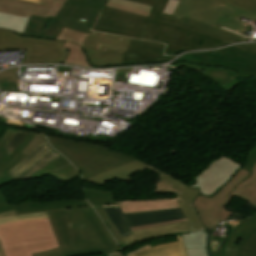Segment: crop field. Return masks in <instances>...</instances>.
Returning a JSON list of instances; mask_svg holds the SVG:
<instances>
[{
	"instance_id": "214f88e0",
	"label": "crop field",
	"mask_w": 256,
	"mask_h": 256,
	"mask_svg": "<svg viewBox=\"0 0 256 256\" xmlns=\"http://www.w3.org/2000/svg\"><path fill=\"white\" fill-rule=\"evenodd\" d=\"M86 37L87 34L63 28L56 40L66 41L64 48L70 50V53L65 61L66 64H75L92 68L88 65L84 51L81 49V45Z\"/></svg>"
},
{
	"instance_id": "cbeb9de0",
	"label": "crop field",
	"mask_w": 256,
	"mask_h": 256,
	"mask_svg": "<svg viewBox=\"0 0 256 256\" xmlns=\"http://www.w3.org/2000/svg\"><path fill=\"white\" fill-rule=\"evenodd\" d=\"M109 217L124 236L132 235L129 227L183 219L180 209L123 215L119 207H104Z\"/></svg>"
},
{
	"instance_id": "dafd665d",
	"label": "crop field",
	"mask_w": 256,
	"mask_h": 256,
	"mask_svg": "<svg viewBox=\"0 0 256 256\" xmlns=\"http://www.w3.org/2000/svg\"><path fill=\"white\" fill-rule=\"evenodd\" d=\"M178 242L167 243L138 251L130 256H187L181 236Z\"/></svg>"
},
{
	"instance_id": "5142ce71",
	"label": "crop field",
	"mask_w": 256,
	"mask_h": 256,
	"mask_svg": "<svg viewBox=\"0 0 256 256\" xmlns=\"http://www.w3.org/2000/svg\"><path fill=\"white\" fill-rule=\"evenodd\" d=\"M227 223L232 232L227 241L226 256H256V215Z\"/></svg>"
},
{
	"instance_id": "c035e120",
	"label": "crop field",
	"mask_w": 256,
	"mask_h": 256,
	"mask_svg": "<svg viewBox=\"0 0 256 256\" xmlns=\"http://www.w3.org/2000/svg\"><path fill=\"white\" fill-rule=\"evenodd\" d=\"M186 221L185 219L183 220H178V221H172V222H166V223H160V224H154V225H147V226H140V227H133L131 228L132 231L142 229V228H147V227H153V226H159V225H165V224H171V223H177V222H183Z\"/></svg>"
},
{
	"instance_id": "4177f3b9",
	"label": "crop field",
	"mask_w": 256,
	"mask_h": 256,
	"mask_svg": "<svg viewBox=\"0 0 256 256\" xmlns=\"http://www.w3.org/2000/svg\"><path fill=\"white\" fill-rule=\"evenodd\" d=\"M202 74H204L206 77L210 78L220 86H224L234 81L235 77L238 76V74L230 70L214 68H208Z\"/></svg>"
},
{
	"instance_id": "d9b57169",
	"label": "crop field",
	"mask_w": 256,
	"mask_h": 256,
	"mask_svg": "<svg viewBox=\"0 0 256 256\" xmlns=\"http://www.w3.org/2000/svg\"><path fill=\"white\" fill-rule=\"evenodd\" d=\"M60 156L61 155L58 152L50 147L45 139L35 150L8 173L13 180L28 179L46 168Z\"/></svg>"
},
{
	"instance_id": "425ffa30",
	"label": "crop field",
	"mask_w": 256,
	"mask_h": 256,
	"mask_svg": "<svg viewBox=\"0 0 256 256\" xmlns=\"http://www.w3.org/2000/svg\"><path fill=\"white\" fill-rule=\"evenodd\" d=\"M0 256H5L1 242H0Z\"/></svg>"
},
{
	"instance_id": "34b2d1b8",
	"label": "crop field",
	"mask_w": 256,
	"mask_h": 256,
	"mask_svg": "<svg viewBox=\"0 0 256 256\" xmlns=\"http://www.w3.org/2000/svg\"><path fill=\"white\" fill-rule=\"evenodd\" d=\"M153 6L149 18L107 8L102 15L149 24L146 38L167 44L165 54L176 55L179 51L210 49L234 43L199 30L177 24L179 18L162 13L168 0H131Z\"/></svg>"
},
{
	"instance_id": "22f410ed",
	"label": "crop field",
	"mask_w": 256,
	"mask_h": 256,
	"mask_svg": "<svg viewBox=\"0 0 256 256\" xmlns=\"http://www.w3.org/2000/svg\"><path fill=\"white\" fill-rule=\"evenodd\" d=\"M240 168V164L222 155L195 177V186L189 187L199 188L202 195L210 197L222 188Z\"/></svg>"
},
{
	"instance_id": "d32e631a",
	"label": "crop field",
	"mask_w": 256,
	"mask_h": 256,
	"mask_svg": "<svg viewBox=\"0 0 256 256\" xmlns=\"http://www.w3.org/2000/svg\"><path fill=\"white\" fill-rule=\"evenodd\" d=\"M27 133L18 131L16 136L13 140L7 145L8 153L10 154L11 151L18 145V143L25 137Z\"/></svg>"
},
{
	"instance_id": "ac0d7876",
	"label": "crop field",
	"mask_w": 256,
	"mask_h": 256,
	"mask_svg": "<svg viewBox=\"0 0 256 256\" xmlns=\"http://www.w3.org/2000/svg\"><path fill=\"white\" fill-rule=\"evenodd\" d=\"M46 213L60 248L33 256H83L121 251L92 206Z\"/></svg>"
},
{
	"instance_id": "dd49c442",
	"label": "crop field",
	"mask_w": 256,
	"mask_h": 256,
	"mask_svg": "<svg viewBox=\"0 0 256 256\" xmlns=\"http://www.w3.org/2000/svg\"><path fill=\"white\" fill-rule=\"evenodd\" d=\"M233 196L256 204V164L251 172L238 170L234 178L211 198L200 195L194 200L193 205L204 227L213 228L234 214L225 210Z\"/></svg>"
},
{
	"instance_id": "b80d0937",
	"label": "crop field",
	"mask_w": 256,
	"mask_h": 256,
	"mask_svg": "<svg viewBox=\"0 0 256 256\" xmlns=\"http://www.w3.org/2000/svg\"><path fill=\"white\" fill-rule=\"evenodd\" d=\"M17 131L14 130H6L4 136H3V140L6 142V145L11 141V139L15 136Z\"/></svg>"
},
{
	"instance_id": "8a807250",
	"label": "crop field",
	"mask_w": 256,
	"mask_h": 256,
	"mask_svg": "<svg viewBox=\"0 0 256 256\" xmlns=\"http://www.w3.org/2000/svg\"><path fill=\"white\" fill-rule=\"evenodd\" d=\"M146 169L162 177L153 187L152 193L174 194L176 197L140 201L117 200L118 206L121 207L123 213L128 214L181 208L187 222L134 231V235L123 238L126 244L130 246L136 242L146 239L163 237L165 235L175 234L182 231H191V229H206L202 226L199 217L192 206V201L200 195L199 190L188 188L186 184L144 162L137 160L133 163L100 173L86 181L102 186L113 179L131 182L133 180L129 177L130 175L137 171L142 173Z\"/></svg>"
},
{
	"instance_id": "bc2a9ffb",
	"label": "crop field",
	"mask_w": 256,
	"mask_h": 256,
	"mask_svg": "<svg viewBox=\"0 0 256 256\" xmlns=\"http://www.w3.org/2000/svg\"><path fill=\"white\" fill-rule=\"evenodd\" d=\"M148 25L138 24L134 22H129L121 19L110 18L100 15L98 21L96 22L92 30L144 39Z\"/></svg>"
},
{
	"instance_id": "5866460e",
	"label": "crop field",
	"mask_w": 256,
	"mask_h": 256,
	"mask_svg": "<svg viewBox=\"0 0 256 256\" xmlns=\"http://www.w3.org/2000/svg\"><path fill=\"white\" fill-rule=\"evenodd\" d=\"M107 7H111V8L131 12V13H135V14H139V15H143V16H147V17L150 14L148 12H144V11H140V10H136V9H132V8H128V7H123V6H119V5H115V4H111V3H108Z\"/></svg>"
},
{
	"instance_id": "4a817a6b",
	"label": "crop field",
	"mask_w": 256,
	"mask_h": 256,
	"mask_svg": "<svg viewBox=\"0 0 256 256\" xmlns=\"http://www.w3.org/2000/svg\"><path fill=\"white\" fill-rule=\"evenodd\" d=\"M165 45L156 42L132 39L126 51L123 52L122 65L146 64L169 61L175 56H162Z\"/></svg>"
},
{
	"instance_id": "c21b1889",
	"label": "crop field",
	"mask_w": 256,
	"mask_h": 256,
	"mask_svg": "<svg viewBox=\"0 0 256 256\" xmlns=\"http://www.w3.org/2000/svg\"><path fill=\"white\" fill-rule=\"evenodd\" d=\"M175 67H187V68L197 70L200 72H203L206 69L204 67H197V66H193V65H189V64H184V63H178Z\"/></svg>"
},
{
	"instance_id": "bd1437ed",
	"label": "crop field",
	"mask_w": 256,
	"mask_h": 256,
	"mask_svg": "<svg viewBox=\"0 0 256 256\" xmlns=\"http://www.w3.org/2000/svg\"><path fill=\"white\" fill-rule=\"evenodd\" d=\"M256 163V145L248 152L242 169L251 171Z\"/></svg>"
},
{
	"instance_id": "0bd39190",
	"label": "crop field",
	"mask_w": 256,
	"mask_h": 256,
	"mask_svg": "<svg viewBox=\"0 0 256 256\" xmlns=\"http://www.w3.org/2000/svg\"><path fill=\"white\" fill-rule=\"evenodd\" d=\"M180 2V1H179ZM178 3V0H169L165 10H164V13H167L169 15H172L176 5ZM179 4V3H178Z\"/></svg>"
},
{
	"instance_id": "25e5ab78",
	"label": "crop field",
	"mask_w": 256,
	"mask_h": 256,
	"mask_svg": "<svg viewBox=\"0 0 256 256\" xmlns=\"http://www.w3.org/2000/svg\"><path fill=\"white\" fill-rule=\"evenodd\" d=\"M27 1H32V2L39 3L40 0H27Z\"/></svg>"
},
{
	"instance_id": "b54c1fbb",
	"label": "crop field",
	"mask_w": 256,
	"mask_h": 256,
	"mask_svg": "<svg viewBox=\"0 0 256 256\" xmlns=\"http://www.w3.org/2000/svg\"><path fill=\"white\" fill-rule=\"evenodd\" d=\"M221 28L226 29V30H228V31H231V32H233V33H236V34H238V35H241V36H243V37H246V36H244V35H242V34H240V33H238V32H235V31H233V30H231V29H228V28H226V27H221ZM246 38H248V37H246ZM248 39H249V38H248Z\"/></svg>"
},
{
	"instance_id": "d3111659",
	"label": "crop field",
	"mask_w": 256,
	"mask_h": 256,
	"mask_svg": "<svg viewBox=\"0 0 256 256\" xmlns=\"http://www.w3.org/2000/svg\"><path fill=\"white\" fill-rule=\"evenodd\" d=\"M103 36L104 34L102 33H96L91 31L87 39L85 40L84 45L90 46L96 49L100 41L102 40Z\"/></svg>"
},
{
	"instance_id": "f4fd0767",
	"label": "crop field",
	"mask_w": 256,
	"mask_h": 256,
	"mask_svg": "<svg viewBox=\"0 0 256 256\" xmlns=\"http://www.w3.org/2000/svg\"><path fill=\"white\" fill-rule=\"evenodd\" d=\"M241 14L256 20V0H181L173 16L242 33L249 25L237 19Z\"/></svg>"
},
{
	"instance_id": "730fd06b",
	"label": "crop field",
	"mask_w": 256,
	"mask_h": 256,
	"mask_svg": "<svg viewBox=\"0 0 256 256\" xmlns=\"http://www.w3.org/2000/svg\"><path fill=\"white\" fill-rule=\"evenodd\" d=\"M113 206H117V205H113ZM95 209L99 213L100 217L102 218V220L104 221V223L106 224V226L108 227L110 232L112 233L113 237L115 238V240L117 241V243L119 244L121 249H123V250L126 249L128 246L123 241L121 235L117 231L116 227L114 226V224L112 223V221L108 217V215L105 212V210L103 209V207L99 206V207H95Z\"/></svg>"
},
{
	"instance_id": "412701ff",
	"label": "crop field",
	"mask_w": 256,
	"mask_h": 256,
	"mask_svg": "<svg viewBox=\"0 0 256 256\" xmlns=\"http://www.w3.org/2000/svg\"><path fill=\"white\" fill-rule=\"evenodd\" d=\"M106 2L107 0H67L55 18L31 15L24 34H17L55 40L63 27L89 34Z\"/></svg>"
},
{
	"instance_id": "028f5c9d",
	"label": "crop field",
	"mask_w": 256,
	"mask_h": 256,
	"mask_svg": "<svg viewBox=\"0 0 256 256\" xmlns=\"http://www.w3.org/2000/svg\"><path fill=\"white\" fill-rule=\"evenodd\" d=\"M3 78H8L9 82H15L18 85V78L15 76V68L0 72V79Z\"/></svg>"
},
{
	"instance_id": "750c4746",
	"label": "crop field",
	"mask_w": 256,
	"mask_h": 256,
	"mask_svg": "<svg viewBox=\"0 0 256 256\" xmlns=\"http://www.w3.org/2000/svg\"><path fill=\"white\" fill-rule=\"evenodd\" d=\"M66 163H68V161L62 156L58 160H56L54 163H52L50 166H48L46 169H44L43 171H41L40 173H38L37 175H35L32 178L42 177L45 174H49L56 168L66 164Z\"/></svg>"
},
{
	"instance_id": "03da06ac",
	"label": "crop field",
	"mask_w": 256,
	"mask_h": 256,
	"mask_svg": "<svg viewBox=\"0 0 256 256\" xmlns=\"http://www.w3.org/2000/svg\"><path fill=\"white\" fill-rule=\"evenodd\" d=\"M69 165H71V164L69 163V164H67V165H65V166H63V167H61V168H59V169L53 171L52 173H50V175L52 176L53 174L59 172L60 170L64 169L65 167H67V166H69Z\"/></svg>"
},
{
	"instance_id": "1d83c4d3",
	"label": "crop field",
	"mask_w": 256,
	"mask_h": 256,
	"mask_svg": "<svg viewBox=\"0 0 256 256\" xmlns=\"http://www.w3.org/2000/svg\"><path fill=\"white\" fill-rule=\"evenodd\" d=\"M110 2L119 4V5H123V6H128V7L144 10V11H148V12H150L151 8H152L150 6H146V5H142V4L126 1V0H110Z\"/></svg>"
},
{
	"instance_id": "d1516ede",
	"label": "crop field",
	"mask_w": 256,
	"mask_h": 256,
	"mask_svg": "<svg viewBox=\"0 0 256 256\" xmlns=\"http://www.w3.org/2000/svg\"><path fill=\"white\" fill-rule=\"evenodd\" d=\"M179 61L229 67L238 70L241 78H256V55L232 47L216 50L214 54L211 52L185 54Z\"/></svg>"
},
{
	"instance_id": "00972430",
	"label": "crop field",
	"mask_w": 256,
	"mask_h": 256,
	"mask_svg": "<svg viewBox=\"0 0 256 256\" xmlns=\"http://www.w3.org/2000/svg\"><path fill=\"white\" fill-rule=\"evenodd\" d=\"M178 23L182 24V25L192 27V28H195V29L205 31L207 33H210V34H213V35H216V36H220V37L229 39V40L234 41V42H240V41H247L248 40L246 38H243L241 36H238L236 34H233L231 32L223 30L221 28L212 27V26H209V25H206V24H203V23H200V22H196V21L184 18V17H182Z\"/></svg>"
},
{
	"instance_id": "733c2abd",
	"label": "crop field",
	"mask_w": 256,
	"mask_h": 256,
	"mask_svg": "<svg viewBox=\"0 0 256 256\" xmlns=\"http://www.w3.org/2000/svg\"><path fill=\"white\" fill-rule=\"evenodd\" d=\"M130 40L131 39L129 38L105 34L103 40L97 48L98 51L83 45L82 47L86 51L92 65L100 67L121 65V51H126Z\"/></svg>"
},
{
	"instance_id": "120bbe31",
	"label": "crop field",
	"mask_w": 256,
	"mask_h": 256,
	"mask_svg": "<svg viewBox=\"0 0 256 256\" xmlns=\"http://www.w3.org/2000/svg\"><path fill=\"white\" fill-rule=\"evenodd\" d=\"M45 137L43 135L37 134L36 137L31 141V143L26 147V149L23 151L25 154H29L33 149H35L43 140Z\"/></svg>"
},
{
	"instance_id": "ae1a2a85",
	"label": "crop field",
	"mask_w": 256,
	"mask_h": 256,
	"mask_svg": "<svg viewBox=\"0 0 256 256\" xmlns=\"http://www.w3.org/2000/svg\"><path fill=\"white\" fill-rule=\"evenodd\" d=\"M78 175H80L77 170L71 165L67 168H65L64 170L60 171L59 173L53 175V177L68 182L72 179H74L75 177H77Z\"/></svg>"
},
{
	"instance_id": "a9b5d70f",
	"label": "crop field",
	"mask_w": 256,
	"mask_h": 256,
	"mask_svg": "<svg viewBox=\"0 0 256 256\" xmlns=\"http://www.w3.org/2000/svg\"><path fill=\"white\" fill-rule=\"evenodd\" d=\"M85 197L92 206L116 204L114 193L108 191L84 188Z\"/></svg>"
},
{
	"instance_id": "d8731c3e",
	"label": "crop field",
	"mask_w": 256,
	"mask_h": 256,
	"mask_svg": "<svg viewBox=\"0 0 256 256\" xmlns=\"http://www.w3.org/2000/svg\"><path fill=\"white\" fill-rule=\"evenodd\" d=\"M49 143L62 153L81 172L83 179L111 168L133 162L135 157L120 154L111 149L75 143L57 137L47 136Z\"/></svg>"
},
{
	"instance_id": "3316defc",
	"label": "crop field",
	"mask_w": 256,
	"mask_h": 256,
	"mask_svg": "<svg viewBox=\"0 0 256 256\" xmlns=\"http://www.w3.org/2000/svg\"><path fill=\"white\" fill-rule=\"evenodd\" d=\"M64 42L23 38L9 30L0 29V50L27 49L22 64L63 63L69 51Z\"/></svg>"
},
{
	"instance_id": "5d738f31",
	"label": "crop field",
	"mask_w": 256,
	"mask_h": 256,
	"mask_svg": "<svg viewBox=\"0 0 256 256\" xmlns=\"http://www.w3.org/2000/svg\"><path fill=\"white\" fill-rule=\"evenodd\" d=\"M108 256H124L123 254L116 252V253H112V254H107Z\"/></svg>"
},
{
	"instance_id": "e1f06a70",
	"label": "crop field",
	"mask_w": 256,
	"mask_h": 256,
	"mask_svg": "<svg viewBox=\"0 0 256 256\" xmlns=\"http://www.w3.org/2000/svg\"><path fill=\"white\" fill-rule=\"evenodd\" d=\"M232 47L238 48V49L246 51V52L256 54V44H242V45H235Z\"/></svg>"
},
{
	"instance_id": "92a150f3",
	"label": "crop field",
	"mask_w": 256,
	"mask_h": 256,
	"mask_svg": "<svg viewBox=\"0 0 256 256\" xmlns=\"http://www.w3.org/2000/svg\"><path fill=\"white\" fill-rule=\"evenodd\" d=\"M188 256H209L207 250V231L182 233Z\"/></svg>"
},
{
	"instance_id": "28ad6ade",
	"label": "crop field",
	"mask_w": 256,
	"mask_h": 256,
	"mask_svg": "<svg viewBox=\"0 0 256 256\" xmlns=\"http://www.w3.org/2000/svg\"><path fill=\"white\" fill-rule=\"evenodd\" d=\"M66 0H41L39 4L23 0H0V28L24 32L30 14L55 17Z\"/></svg>"
},
{
	"instance_id": "5a996713",
	"label": "crop field",
	"mask_w": 256,
	"mask_h": 256,
	"mask_svg": "<svg viewBox=\"0 0 256 256\" xmlns=\"http://www.w3.org/2000/svg\"><path fill=\"white\" fill-rule=\"evenodd\" d=\"M36 134L28 133L26 137L19 143V145L12 151L8 156L7 150L5 147V142L0 140V187L12 182L13 180L8 175V171L11 170L17 163H19L26 155L21 152L24 148L30 143V141L35 137ZM90 206L87 201H58L45 204H36L33 202H24L17 206L9 205L8 200L5 198L4 194L0 191V214L8 211L14 210L16 215L30 213V212H39V211H48L56 210L70 207H82Z\"/></svg>"
},
{
	"instance_id": "eef30255",
	"label": "crop field",
	"mask_w": 256,
	"mask_h": 256,
	"mask_svg": "<svg viewBox=\"0 0 256 256\" xmlns=\"http://www.w3.org/2000/svg\"><path fill=\"white\" fill-rule=\"evenodd\" d=\"M42 218H48L45 212L16 216L14 211H12V212H8L0 215V224L6 223V222H12V221L24 220V219H42Z\"/></svg>"
},
{
	"instance_id": "e52e79f7",
	"label": "crop field",
	"mask_w": 256,
	"mask_h": 256,
	"mask_svg": "<svg viewBox=\"0 0 256 256\" xmlns=\"http://www.w3.org/2000/svg\"><path fill=\"white\" fill-rule=\"evenodd\" d=\"M0 239L6 256H32L59 247L48 219L0 225Z\"/></svg>"
},
{
	"instance_id": "d23c7cc5",
	"label": "crop field",
	"mask_w": 256,
	"mask_h": 256,
	"mask_svg": "<svg viewBox=\"0 0 256 256\" xmlns=\"http://www.w3.org/2000/svg\"><path fill=\"white\" fill-rule=\"evenodd\" d=\"M58 72H62V71H64L65 69H64V67H58ZM66 70L67 71H70V68H68V67H66Z\"/></svg>"
}]
</instances>
